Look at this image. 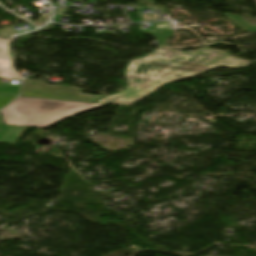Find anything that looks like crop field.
I'll return each instance as SVG.
<instances>
[{"mask_svg": "<svg viewBox=\"0 0 256 256\" xmlns=\"http://www.w3.org/2000/svg\"><path fill=\"white\" fill-rule=\"evenodd\" d=\"M247 65L248 62L221 50L200 48L181 51L158 47L149 55L129 62L125 72L128 81L125 90L96 102L131 105L171 81L186 79L219 66L241 68Z\"/></svg>", "mask_w": 256, "mask_h": 256, "instance_id": "obj_1", "label": "crop field"}, {"mask_svg": "<svg viewBox=\"0 0 256 256\" xmlns=\"http://www.w3.org/2000/svg\"><path fill=\"white\" fill-rule=\"evenodd\" d=\"M102 106L97 103L20 96L1 113L5 124L45 128L61 119Z\"/></svg>", "mask_w": 256, "mask_h": 256, "instance_id": "obj_2", "label": "crop field"}, {"mask_svg": "<svg viewBox=\"0 0 256 256\" xmlns=\"http://www.w3.org/2000/svg\"><path fill=\"white\" fill-rule=\"evenodd\" d=\"M74 87L50 85L44 81L25 79L21 95L92 102L98 95L80 94Z\"/></svg>", "mask_w": 256, "mask_h": 256, "instance_id": "obj_3", "label": "crop field"}, {"mask_svg": "<svg viewBox=\"0 0 256 256\" xmlns=\"http://www.w3.org/2000/svg\"><path fill=\"white\" fill-rule=\"evenodd\" d=\"M10 41L0 39V77L21 79V76L11 68Z\"/></svg>", "mask_w": 256, "mask_h": 256, "instance_id": "obj_4", "label": "crop field"}, {"mask_svg": "<svg viewBox=\"0 0 256 256\" xmlns=\"http://www.w3.org/2000/svg\"><path fill=\"white\" fill-rule=\"evenodd\" d=\"M26 130L27 128L24 127L0 124V143L6 142L11 145H15L16 142H19Z\"/></svg>", "mask_w": 256, "mask_h": 256, "instance_id": "obj_5", "label": "crop field"}, {"mask_svg": "<svg viewBox=\"0 0 256 256\" xmlns=\"http://www.w3.org/2000/svg\"><path fill=\"white\" fill-rule=\"evenodd\" d=\"M224 15L227 16L230 20H232L236 25H238L244 31H247V32H255L256 31V26L251 25L246 20H244L242 17L236 16V15H229V14H224Z\"/></svg>", "mask_w": 256, "mask_h": 256, "instance_id": "obj_6", "label": "crop field"}, {"mask_svg": "<svg viewBox=\"0 0 256 256\" xmlns=\"http://www.w3.org/2000/svg\"><path fill=\"white\" fill-rule=\"evenodd\" d=\"M143 33L154 35L157 39H159V45L162 46H166L167 36H173L172 30Z\"/></svg>", "mask_w": 256, "mask_h": 256, "instance_id": "obj_7", "label": "crop field"}, {"mask_svg": "<svg viewBox=\"0 0 256 256\" xmlns=\"http://www.w3.org/2000/svg\"><path fill=\"white\" fill-rule=\"evenodd\" d=\"M20 87L17 86H6L0 82V93L6 94H19Z\"/></svg>", "mask_w": 256, "mask_h": 256, "instance_id": "obj_8", "label": "crop field"}, {"mask_svg": "<svg viewBox=\"0 0 256 256\" xmlns=\"http://www.w3.org/2000/svg\"><path fill=\"white\" fill-rule=\"evenodd\" d=\"M17 96L0 94V108L12 101ZM2 109V108H1Z\"/></svg>", "mask_w": 256, "mask_h": 256, "instance_id": "obj_9", "label": "crop field"}]
</instances>
